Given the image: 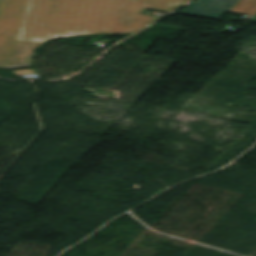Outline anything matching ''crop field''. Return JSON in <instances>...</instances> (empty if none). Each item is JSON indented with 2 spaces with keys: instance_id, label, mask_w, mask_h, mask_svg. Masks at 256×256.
<instances>
[{
  "instance_id": "5",
  "label": "crop field",
  "mask_w": 256,
  "mask_h": 256,
  "mask_svg": "<svg viewBox=\"0 0 256 256\" xmlns=\"http://www.w3.org/2000/svg\"><path fill=\"white\" fill-rule=\"evenodd\" d=\"M250 23H256V16L250 21Z\"/></svg>"
},
{
  "instance_id": "3",
  "label": "crop field",
  "mask_w": 256,
  "mask_h": 256,
  "mask_svg": "<svg viewBox=\"0 0 256 256\" xmlns=\"http://www.w3.org/2000/svg\"><path fill=\"white\" fill-rule=\"evenodd\" d=\"M240 0H197L179 14L205 16L221 19L223 15L230 11ZM217 4V6H214Z\"/></svg>"
},
{
  "instance_id": "4",
  "label": "crop field",
  "mask_w": 256,
  "mask_h": 256,
  "mask_svg": "<svg viewBox=\"0 0 256 256\" xmlns=\"http://www.w3.org/2000/svg\"><path fill=\"white\" fill-rule=\"evenodd\" d=\"M230 12L255 16L256 0H241Z\"/></svg>"
},
{
  "instance_id": "1",
  "label": "crop field",
  "mask_w": 256,
  "mask_h": 256,
  "mask_svg": "<svg viewBox=\"0 0 256 256\" xmlns=\"http://www.w3.org/2000/svg\"><path fill=\"white\" fill-rule=\"evenodd\" d=\"M189 0H28L17 40L134 33L159 17L138 14L153 4L178 8Z\"/></svg>"
},
{
  "instance_id": "2",
  "label": "crop field",
  "mask_w": 256,
  "mask_h": 256,
  "mask_svg": "<svg viewBox=\"0 0 256 256\" xmlns=\"http://www.w3.org/2000/svg\"><path fill=\"white\" fill-rule=\"evenodd\" d=\"M27 0H0V68L31 67L28 52L41 43L16 41Z\"/></svg>"
}]
</instances>
